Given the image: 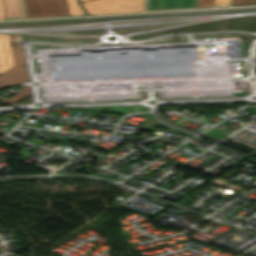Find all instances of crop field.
<instances>
[{
  "label": "crop field",
  "mask_w": 256,
  "mask_h": 256,
  "mask_svg": "<svg viewBox=\"0 0 256 256\" xmlns=\"http://www.w3.org/2000/svg\"><path fill=\"white\" fill-rule=\"evenodd\" d=\"M10 41H13L14 46L11 48L15 66L0 75V89L12 85H20L22 82L29 80L28 74L25 73L23 65L26 64L23 46L16 44L17 41H22L21 35L9 34Z\"/></svg>",
  "instance_id": "crop-field-2"
},
{
  "label": "crop field",
  "mask_w": 256,
  "mask_h": 256,
  "mask_svg": "<svg viewBox=\"0 0 256 256\" xmlns=\"http://www.w3.org/2000/svg\"><path fill=\"white\" fill-rule=\"evenodd\" d=\"M214 0H199L197 7L213 6Z\"/></svg>",
  "instance_id": "crop-field-9"
},
{
  "label": "crop field",
  "mask_w": 256,
  "mask_h": 256,
  "mask_svg": "<svg viewBox=\"0 0 256 256\" xmlns=\"http://www.w3.org/2000/svg\"><path fill=\"white\" fill-rule=\"evenodd\" d=\"M256 4V0H231V5Z\"/></svg>",
  "instance_id": "crop-field-8"
},
{
  "label": "crop field",
  "mask_w": 256,
  "mask_h": 256,
  "mask_svg": "<svg viewBox=\"0 0 256 256\" xmlns=\"http://www.w3.org/2000/svg\"><path fill=\"white\" fill-rule=\"evenodd\" d=\"M230 5V0H215V6Z\"/></svg>",
  "instance_id": "crop-field-11"
},
{
  "label": "crop field",
  "mask_w": 256,
  "mask_h": 256,
  "mask_svg": "<svg viewBox=\"0 0 256 256\" xmlns=\"http://www.w3.org/2000/svg\"><path fill=\"white\" fill-rule=\"evenodd\" d=\"M69 16L85 14L76 0H66Z\"/></svg>",
  "instance_id": "crop-field-7"
},
{
  "label": "crop field",
  "mask_w": 256,
  "mask_h": 256,
  "mask_svg": "<svg viewBox=\"0 0 256 256\" xmlns=\"http://www.w3.org/2000/svg\"><path fill=\"white\" fill-rule=\"evenodd\" d=\"M145 0H93L82 2L89 15L142 11Z\"/></svg>",
  "instance_id": "crop-field-1"
},
{
  "label": "crop field",
  "mask_w": 256,
  "mask_h": 256,
  "mask_svg": "<svg viewBox=\"0 0 256 256\" xmlns=\"http://www.w3.org/2000/svg\"><path fill=\"white\" fill-rule=\"evenodd\" d=\"M20 91L18 92L17 95L9 98L8 100L0 103V105H14L20 101H22L23 99L29 97L31 95V91H30V87L27 86H23L20 87Z\"/></svg>",
  "instance_id": "crop-field-6"
},
{
  "label": "crop field",
  "mask_w": 256,
  "mask_h": 256,
  "mask_svg": "<svg viewBox=\"0 0 256 256\" xmlns=\"http://www.w3.org/2000/svg\"><path fill=\"white\" fill-rule=\"evenodd\" d=\"M0 20H6L5 12H4V6H3V1L2 0H0Z\"/></svg>",
  "instance_id": "crop-field-10"
},
{
  "label": "crop field",
  "mask_w": 256,
  "mask_h": 256,
  "mask_svg": "<svg viewBox=\"0 0 256 256\" xmlns=\"http://www.w3.org/2000/svg\"><path fill=\"white\" fill-rule=\"evenodd\" d=\"M7 20L29 19L25 0H3Z\"/></svg>",
  "instance_id": "crop-field-4"
},
{
  "label": "crop field",
  "mask_w": 256,
  "mask_h": 256,
  "mask_svg": "<svg viewBox=\"0 0 256 256\" xmlns=\"http://www.w3.org/2000/svg\"><path fill=\"white\" fill-rule=\"evenodd\" d=\"M82 1H87V0H80V2H82Z\"/></svg>",
  "instance_id": "crop-field-13"
},
{
  "label": "crop field",
  "mask_w": 256,
  "mask_h": 256,
  "mask_svg": "<svg viewBox=\"0 0 256 256\" xmlns=\"http://www.w3.org/2000/svg\"><path fill=\"white\" fill-rule=\"evenodd\" d=\"M30 18L68 16L65 0H26Z\"/></svg>",
  "instance_id": "crop-field-3"
},
{
  "label": "crop field",
  "mask_w": 256,
  "mask_h": 256,
  "mask_svg": "<svg viewBox=\"0 0 256 256\" xmlns=\"http://www.w3.org/2000/svg\"><path fill=\"white\" fill-rule=\"evenodd\" d=\"M8 34H0V74L14 66Z\"/></svg>",
  "instance_id": "crop-field-5"
},
{
  "label": "crop field",
  "mask_w": 256,
  "mask_h": 256,
  "mask_svg": "<svg viewBox=\"0 0 256 256\" xmlns=\"http://www.w3.org/2000/svg\"><path fill=\"white\" fill-rule=\"evenodd\" d=\"M4 98H5V96L0 95V100H2V99H4Z\"/></svg>",
  "instance_id": "crop-field-12"
}]
</instances>
